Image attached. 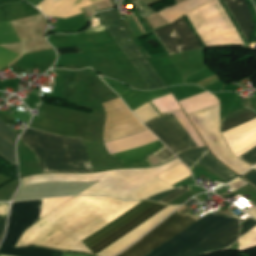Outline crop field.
<instances>
[{
  "label": "crop field",
  "mask_w": 256,
  "mask_h": 256,
  "mask_svg": "<svg viewBox=\"0 0 256 256\" xmlns=\"http://www.w3.org/2000/svg\"><path fill=\"white\" fill-rule=\"evenodd\" d=\"M103 198V196H76L26 230L16 247L39 244ZM141 201H122L106 197L39 245L89 252L90 250L80 242L81 240Z\"/></svg>",
  "instance_id": "8a807250"
},
{
  "label": "crop field",
  "mask_w": 256,
  "mask_h": 256,
  "mask_svg": "<svg viewBox=\"0 0 256 256\" xmlns=\"http://www.w3.org/2000/svg\"><path fill=\"white\" fill-rule=\"evenodd\" d=\"M20 140L36 154L43 173L93 172L82 139L26 129Z\"/></svg>",
  "instance_id": "ac0d7876"
},
{
  "label": "crop field",
  "mask_w": 256,
  "mask_h": 256,
  "mask_svg": "<svg viewBox=\"0 0 256 256\" xmlns=\"http://www.w3.org/2000/svg\"><path fill=\"white\" fill-rule=\"evenodd\" d=\"M72 197L44 199V208L43 199L12 203L7 235L1 244L0 253L12 256H61L64 252L44 248L14 247L24 231L42 218V208L45 216Z\"/></svg>",
  "instance_id": "34b2d1b8"
},
{
  "label": "crop field",
  "mask_w": 256,
  "mask_h": 256,
  "mask_svg": "<svg viewBox=\"0 0 256 256\" xmlns=\"http://www.w3.org/2000/svg\"><path fill=\"white\" fill-rule=\"evenodd\" d=\"M186 15L205 46L244 43L218 0L199 6Z\"/></svg>",
  "instance_id": "412701ff"
},
{
  "label": "crop field",
  "mask_w": 256,
  "mask_h": 256,
  "mask_svg": "<svg viewBox=\"0 0 256 256\" xmlns=\"http://www.w3.org/2000/svg\"><path fill=\"white\" fill-rule=\"evenodd\" d=\"M166 207L145 200L81 242L97 254Z\"/></svg>",
  "instance_id": "f4fd0767"
},
{
  "label": "crop field",
  "mask_w": 256,
  "mask_h": 256,
  "mask_svg": "<svg viewBox=\"0 0 256 256\" xmlns=\"http://www.w3.org/2000/svg\"><path fill=\"white\" fill-rule=\"evenodd\" d=\"M234 218L236 217L208 214L145 256H182Z\"/></svg>",
  "instance_id": "dd49c442"
},
{
  "label": "crop field",
  "mask_w": 256,
  "mask_h": 256,
  "mask_svg": "<svg viewBox=\"0 0 256 256\" xmlns=\"http://www.w3.org/2000/svg\"><path fill=\"white\" fill-rule=\"evenodd\" d=\"M220 105L189 114L212 152L240 175L251 168L250 165L235 158L220 134Z\"/></svg>",
  "instance_id": "e52e79f7"
},
{
  "label": "crop field",
  "mask_w": 256,
  "mask_h": 256,
  "mask_svg": "<svg viewBox=\"0 0 256 256\" xmlns=\"http://www.w3.org/2000/svg\"><path fill=\"white\" fill-rule=\"evenodd\" d=\"M196 220L189 213L184 216L176 211L119 256H143Z\"/></svg>",
  "instance_id": "d8731c3e"
},
{
  "label": "crop field",
  "mask_w": 256,
  "mask_h": 256,
  "mask_svg": "<svg viewBox=\"0 0 256 256\" xmlns=\"http://www.w3.org/2000/svg\"><path fill=\"white\" fill-rule=\"evenodd\" d=\"M104 23L110 29L115 39L119 43L120 47L130 59V61L137 67L143 78L146 80L150 88L164 86L161 79L154 72V70L149 66L146 60L143 58V54L138 51V47H135V43L130 40V36L128 37L125 32L123 26L118 20L114 10L106 11L100 13Z\"/></svg>",
  "instance_id": "5a996713"
},
{
  "label": "crop field",
  "mask_w": 256,
  "mask_h": 256,
  "mask_svg": "<svg viewBox=\"0 0 256 256\" xmlns=\"http://www.w3.org/2000/svg\"><path fill=\"white\" fill-rule=\"evenodd\" d=\"M145 124L176 154L197 147L172 112L161 114Z\"/></svg>",
  "instance_id": "3316defc"
},
{
  "label": "crop field",
  "mask_w": 256,
  "mask_h": 256,
  "mask_svg": "<svg viewBox=\"0 0 256 256\" xmlns=\"http://www.w3.org/2000/svg\"><path fill=\"white\" fill-rule=\"evenodd\" d=\"M154 32L170 54L202 48L183 17Z\"/></svg>",
  "instance_id": "28ad6ade"
},
{
  "label": "crop field",
  "mask_w": 256,
  "mask_h": 256,
  "mask_svg": "<svg viewBox=\"0 0 256 256\" xmlns=\"http://www.w3.org/2000/svg\"><path fill=\"white\" fill-rule=\"evenodd\" d=\"M238 235L239 221L236 218L183 256H202L206 253L219 252L233 244Z\"/></svg>",
  "instance_id": "d1516ede"
},
{
  "label": "crop field",
  "mask_w": 256,
  "mask_h": 256,
  "mask_svg": "<svg viewBox=\"0 0 256 256\" xmlns=\"http://www.w3.org/2000/svg\"><path fill=\"white\" fill-rule=\"evenodd\" d=\"M178 157L191 169L199 164L204 165L227 182L238 177L215 159L207 148L187 152Z\"/></svg>",
  "instance_id": "22f410ed"
},
{
  "label": "crop field",
  "mask_w": 256,
  "mask_h": 256,
  "mask_svg": "<svg viewBox=\"0 0 256 256\" xmlns=\"http://www.w3.org/2000/svg\"><path fill=\"white\" fill-rule=\"evenodd\" d=\"M179 206H169L154 217H152L150 220L100 252L99 256H115L120 251H122L124 248L129 246L131 243H133L135 240H137L139 237H141L144 233L149 231L151 228L156 226L159 222H161L165 217H167L171 212H173L176 208Z\"/></svg>",
  "instance_id": "cbeb9de0"
},
{
  "label": "crop field",
  "mask_w": 256,
  "mask_h": 256,
  "mask_svg": "<svg viewBox=\"0 0 256 256\" xmlns=\"http://www.w3.org/2000/svg\"><path fill=\"white\" fill-rule=\"evenodd\" d=\"M102 79L124 99L132 111L152 99L169 94L166 88L151 91H137L132 88L129 89L112 79L106 77H102Z\"/></svg>",
  "instance_id": "5142ce71"
},
{
  "label": "crop field",
  "mask_w": 256,
  "mask_h": 256,
  "mask_svg": "<svg viewBox=\"0 0 256 256\" xmlns=\"http://www.w3.org/2000/svg\"><path fill=\"white\" fill-rule=\"evenodd\" d=\"M164 146L159 140L150 144L136 147L124 152L111 154L115 159L126 167H144L151 166L146 156L156 152Z\"/></svg>",
  "instance_id": "d9b57169"
},
{
  "label": "crop field",
  "mask_w": 256,
  "mask_h": 256,
  "mask_svg": "<svg viewBox=\"0 0 256 256\" xmlns=\"http://www.w3.org/2000/svg\"><path fill=\"white\" fill-rule=\"evenodd\" d=\"M235 21L242 30L247 42L253 30V20L245 0H223Z\"/></svg>",
  "instance_id": "733c2abd"
},
{
  "label": "crop field",
  "mask_w": 256,
  "mask_h": 256,
  "mask_svg": "<svg viewBox=\"0 0 256 256\" xmlns=\"http://www.w3.org/2000/svg\"><path fill=\"white\" fill-rule=\"evenodd\" d=\"M254 118H256V113L243 109L222 120L223 132Z\"/></svg>",
  "instance_id": "4a817a6b"
},
{
  "label": "crop field",
  "mask_w": 256,
  "mask_h": 256,
  "mask_svg": "<svg viewBox=\"0 0 256 256\" xmlns=\"http://www.w3.org/2000/svg\"><path fill=\"white\" fill-rule=\"evenodd\" d=\"M190 175H192L191 171L181 163L157 177L172 185Z\"/></svg>",
  "instance_id": "bc2a9ffb"
},
{
  "label": "crop field",
  "mask_w": 256,
  "mask_h": 256,
  "mask_svg": "<svg viewBox=\"0 0 256 256\" xmlns=\"http://www.w3.org/2000/svg\"><path fill=\"white\" fill-rule=\"evenodd\" d=\"M135 115L143 122H147L151 118L159 115L152 104L149 102L144 106L138 108L137 110L133 111Z\"/></svg>",
  "instance_id": "214f88e0"
},
{
  "label": "crop field",
  "mask_w": 256,
  "mask_h": 256,
  "mask_svg": "<svg viewBox=\"0 0 256 256\" xmlns=\"http://www.w3.org/2000/svg\"><path fill=\"white\" fill-rule=\"evenodd\" d=\"M18 56L19 55L0 47V69L7 66L9 63L15 60Z\"/></svg>",
  "instance_id": "92a150f3"
},
{
  "label": "crop field",
  "mask_w": 256,
  "mask_h": 256,
  "mask_svg": "<svg viewBox=\"0 0 256 256\" xmlns=\"http://www.w3.org/2000/svg\"><path fill=\"white\" fill-rule=\"evenodd\" d=\"M138 11L141 13L143 18L149 16L150 14L156 12L153 10L145 0H132Z\"/></svg>",
  "instance_id": "dafd665d"
},
{
  "label": "crop field",
  "mask_w": 256,
  "mask_h": 256,
  "mask_svg": "<svg viewBox=\"0 0 256 256\" xmlns=\"http://www.w3.org/2000/svg\"><path fill=\"white\" fill-rule=\"evenodd\" d=\"M158 159L164 163L170 159H172L173 157H175L172 152L166 148V147H163L161 150H159L158 152L154 153Z\"/></svg>",
  "instance_id": "00972430"
},
{
  "label": "crop field",
  "mask_w": 256,
  "mask_h": 256,
  "mask_svg": "<svg viewBox=\"0 0 256 256\" xmlns=\"http://www.w3.org/2000/svg\"><path fill=\"white\" fill-rule=\"evenodd\" d=\"M191 189L189 188H180L178 190H176L175 192L169 194L168 196L164 197L161 201H159L160 203H164L167 204L169 202H171L172 200H174L175 198L179 197L180 195H182L183 193L189 191Z\"/></svg>",
  "instance_id": "a9b5d70f"
},
{
  "label": "crop field",
  "mask_w": 256,
  "mask_h": 256,
  "mask_svg": "<svg viewBox=\"0 0 256 256\" xmlns=\"http://www.w3.org/2000/svg\"><path fill=\"white\" fill-rule=\"evenodd\" d=\"M238 158H240L252 165L256 164V146Z\"/></svg>",
  "instance_id": "4177f3b9"
},
{
  "label": "crop field",
  "mask_w": 256,
  "mask_h": 256,
  "mask_svg": "<svg viewBox=\"0 0 256 256\" xmlns=\"http://www.w3.org/2000/svg\"><path fill=\"white\" fill-rule=\"evenodd\" d=\"M256 226V220L249 219L248 221L241 224V236L244 235L247 231L251 230L253 227Z\"/></svg>",
  "instance_id": "730fd06b"
},
{
  "label": "crop field",
  "mask_w": 256,
  "mask_h": 256,
  "mask_svg": "<svg viewBox=\"0 0 256 256\" xmlns=\"http://www.w3.org/2000/svg\"><path fill=\"white\" fill-rule=\"evenodd\" d=\"M59 55L83 53L78 47L56 48Z\"/></svg>",
  "instance_id": "eef30255"
},
{
  "label": "crop field",
  "mask_w": 256,
  "mask_h": 256,
  "mask_svg": "<svg viewBox=\"0 0 256 256\" xmlns=\"http://www.w3.org/2000/svg\"><path fill=\"white\" fill-rule=\"evenodd\" d=\"M246 184H248V183H246L245 181H243V180L237 178L235 181H233V182L230 183L229 185H230L231 189L235 191V190L241 188L242 186H244V185H246ZM242 188H243V187H242ZM235 192H236V191H235Z\"/></svg>",
  "instance_id": "ae1a2a85"
},
{
  "label": "crop field",
  "mask_w": 256,
  "mask_h": 256,
  "mask_svg": "<svg viewBox=\"0 0 256 256\" xmlns=\"http://www.w3.org/2000/svg\"><path fill=\"white\" fill-rule=\"evenodd\" d=\"M176 189L174 190H169V191H165V192H162V193H159V194H156V195H153L151 197L148 198V200H152V201H156L158 202L160 199H162L164 196L168 195L169 193L175 191Z\"/></svg>",
  "instance_id": "d3111659"
},
{
  "label": "crop field",
  "mask_w": 256,
  "mask_h": 256,
  "mask_svg": "<svg viewBox=\"0 0 256 256\" xmlns=\"http://www.w3.org/2000/svg\"><path fill=\"white\" fill-rule=\"evenodd\" d=\"M7 217L0 216V239L4 233Z\"/></svg>",
  "instance_id": "750c4746"
},
{
  "label": "crop field",
  "mask_w": 256,
  "mask_h": 256,
  "mask_svg": "<svg viewBox=\"0 0 256 256\" xmlns=\"http://www.w3.org/2000/svg\"><path fill=\"white\" fill-rule=\"evenodd\" d=\"M247 178L250 182L256 185V169L244 176Z\"/></svg>",
  "instance_id": "bd1437ed"
},
{
  "label": "crop field",
  "mask_w": 256,
  "mask_h": 256,
  "mask_svg": "<svg viewBox=\"0 0 256 256\" xmlns=\"http://www.w3.org/2000/svg\"><path fill=\"white\" fill-rule=\"evenodd\" d=\"M247 213L256 218V207L254 209H252L251 211L247 212Z\"/></svg>",
  "instance_id": "1d83c4d3"
},
{
  "label": "crop field",
  "mask_w": 256,
  "mask_h": 256,
  "mask_svg": "<svg viewBox=\"0 0 256 256\" xmlns=\"http://www.w3.org/2000/svg\"><path fill=\"white\" fill-rule=\"evenodd\" d=\"M63 256H86L83 254H69V253H65Z\"/></svg>",
  "instance_id": "120bbe31"
},
{
  "label": "crop field",
  "mask_w": 256,
  "mask_h": 256,
  "mask_svg": "<svg viewBox=\"0 0 256 256\" xmlns=\"http://www.w3.org/2000/svg\"><path fill=\"white\" fill-rule=\"evenodd\" d=\"M113 1H114V3H115L116 7H118V5H119V3H120L121 0H113Z\"/></svg>",
  "instance_id": "d32e631a"
},
{
  "label": "crop field",
  "mask_w": 256,
  "mask_h": 256,
  "mask_svg": "<svg viewBox=\"0 0 256 256\" xmlns=\"http://www.w3.org/2000/svg\"><path fill=\"white\" fill-rule=\"evenodd\" d=\"M0 256H7V255H0Z\"/></svg>",
  "instance_id": "5866460e"
},
{
  "label": "crop field",
  "mask_w": 256,
  "mask_h": 256,
  "mask_svg": "<svg viewBox=\"0 0 256 256\" xmlns=\"http://www.w3.org/2000/svg\"><path fill=\"white\" fill-rule=\"evenodd\" d=\"M255 168H256V166H255Z\"/></svg>",
  "instance_id": "028f5c9d"
}]
</instances>
